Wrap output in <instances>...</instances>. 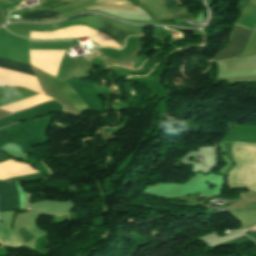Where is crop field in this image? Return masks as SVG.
I'll return each mask as SVG.
<instances>
[{"label":"crop field","mask_w":256,"mask_h":256,"mask_svg":"<svg viewBox=\"0 0 256 256\" xmlns=\"http://www.w3.org/2000/svg\"><path fill=\"white\" fill-rule=\"evenodd\" d=\"M90 36L93 38V41L101 44L108 45L115 48H119L120 46L113 39L108 36L90 29L85 26H71L62 30H57L54 32H31L30 38L32 39H57V38H76V37H84Z\"/></svg>","instance_id":"obj_1"},{"label":"crop field","mask_w":256,"mask_h":256,"mask_svg":"<svg viewBox=\"0 0 256 256\" xmlns=\"http://www.w3.org/2000/svg\"><path fill=\"white\" fill-rule=\"evenodd\" d=\"M0 67L34 75L30 66L17 63L11 60H7L4 58H0ZM50 77L56 83V85L61 89V91L66 95V97L71 101V103L76 107L78 111H81L82 109L87 108L85 103L79 98V96L74 92V90L68 85L66 81L55 79L52 76Z\"/></svg>","instance_id":"obj_2"},{"label":"crop field","mask_w":256,"mask_h":256,"mask_svg":"<svg viewBox=\"0 0 256 256\" xmlns=\"http://www.w3.org/2000/svg\"><path fill=\"white\" fill-rule=\"evenodd\" d=\"M252 32L253 30L235 26L231 33L228 46L220 51L214 60L242 57Z\"/></svg>","instance_id":"obj_3"},{"label":"crop field","mask_w":256,"mask_h":256,"mask_svg":"<svg viewBox=\"0 0 256 256\" xmlns=\"http://www.w3.org/2000/svg\"><path fill=\"white\" fill-rule=\"evenodd\" d=\"M65 51L30 50L31 64L55 76Z\"/></svg>","instance_id":"obj_4"},{"label":"crop field","mask_w":256,"mask_h":256,"mask_svg":"<svg viewBox=\"0 0 256 256\" xmlns=\"http://www.w3.org/2000/svg\"><path fill=\"white\" fill-rule=\"evenodd\" d=\"M21 196L15 182L0 181V213L20 209Z\"/></svg>","instance_id":"obj_5"},{"label":"crop field","mask_w":256,"mask_h":256,"mask_svg":"<svg viewBox=\"0 0 256 256\" xmlns=\"http://www.w3.org/2000/svg\"><path fill=\"white\" fill-rule=\"evenodd\" d=\"M36 94L39 93L20 87H0V106L17 102Z\"/></svg>","instance_id":"obj_6"},{"label":"crop field","mask_w":256,"mask_h":256,"mask_svg":"<svg viewBox=\"0 0 256 256\" xmlns=\"http://www.w3.org/2000/svg\"><path fill=\"white\" fill-rule=\"evenodd\" d=\"M60 14L62 13L50 12V11H39V12L23 14L22 17L28 18V19L50 20Z\"/></svg>","instance_id":"obj_7"},{"label":"crop field","mask_w":256,"mask_h":256,"mask_svg":"<svg viewBox=\"0 0 256 256\" xmlns=\"http://www.w3.org/2000/svg\"><path fill=\"white\" fill-rule=\"evenodd\" d=\"M159 3H161L165 9L171 13H175L176 11H178V9L176 8V6H178V4L176 3L175 0H156Z\"/></svg>","instance_id":"obj_8"},{"label":"crop field","mask_w":256,"mask_h":256,"mask_svg":"<svg viewBox=\"0 0 256 256\" xmlns=\"http://www.w3.org/2000/svg\"><path fill=\"white\" fill-rule=\"evenodd\" d=\"M254 29H256V26H255V28Z\"/></svg>","instance_id":"obj_9"}]
</instances>
